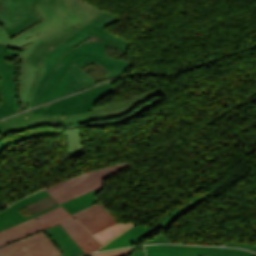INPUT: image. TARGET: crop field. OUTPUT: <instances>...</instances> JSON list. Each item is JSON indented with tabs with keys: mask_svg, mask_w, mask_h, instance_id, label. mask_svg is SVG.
<instances>
[{
	"mask_svg": "<svg viewBox=\"0 0 256 256\" xmlns=\"http://www.w3.org/2000/svg\"><path fill=\"white\" fill-rule=\"evenodd\" d=\"M34 8L43 21L28 29L41 40L26 59L39 67L27 98L28 108L44 71L42 57L104 12L81 0H40Z\"/></svg>",
	"mask_w": 256,
	"mask_h": 256,
	"instance_id": "8a807250",
	"label": "crop field"
},
{
	"mask_svg": "<svg viewBox=\"0 0 256 256\" xmlns=\"http://www.w3.org/2000/svg\"><path fill=\"white\" fill-rule=\"evenodd\" d=\"M163 89L156 88L126 101L95 108L91 112L68 116H37L31 115L32 110L0 121V134H11L39 125L65 126L91 121H103L121 117L130 113L138 105L162 93Z\"/></svg>",
	"mask_w": 256,
	"mask_h": 256,
	"instance_id": "ac0d7876",
	"label": "crop field"
},
{
	"mask_svg": "<svg viewBox=\"0 0 256 256\" xmlns=\"http://www.w3.org/2000/svg\"><path fill=\"white\" fill-rule=\"evenodd\" d=\"M121 19L115 17L114 15L110 14L109 12H104L89 24L84 26L82 29L77 31L59 46H57L54 50L48 53L46 56L43 57L45 71L37 85L35 95L31 104V107L35 105L36 99L38 97L39 91L44 83L48 80V78L52 75L57 63L63 57V55L70 51L72 48L76 47L80 43L84 42L85 40L89 39L92 35L102 39L103 41L107 42L111 46L129 54L126 49L130 42L104 30L103 28L119 21ZM50 57L48 60L47 58ZM30 107V108H31Z\"/></svg>",
	"mask_w": 256,
	"mask_h": 256,
	"instance_id": "34b2d1b8",
	"label": "crop field"
},
{
	"mask_svg": "<svg viewBox=\"0 0 256 256\" xmlns=\"http://www.w3.org/2000/svg\"><path fill=\"white\" fill-rule=\"evenodd\" d=\"M110 46L102 40L91 37L89 40L72 49L59 62L54 74L45 85L58 84L67 69L75 61L81 68L94 63L101 71H107L105 78L121 75L129 66L125 60L110 59L105 54V47Z\"/></svg>",
	"mask_w": 256,
	"mask_h": 256,
	"instance_id": "412701ff",
	"label": "crop field"
},
{
	"mask_svg": "<svg viewBox=\"0 0 256 256\" xmlns=\"http://www.w3.org/2000/svg\"><path fill=\"white\" fill-rule=\"evenodd\" d=\"M103 246L136 223H117L115 217L98 203L72 214Z\"/></svg>",
	"mask_w": 256,
	"mask_h": 256,
	"instance_id": "f4fd0767",
	"label": "crop field"
},
{
	"mask_svg": "<svg viewBox=\"0 0 256 256\" xmlns=\"http://www.w3.org/2000/svg\"><path fill=\"white\" fill-rule=\"evenodd\" d=\"M113 81L97 86L93 89L81 92L76 95L68 96L51 104L35 108L32 114L38 115H67L91 111L94 104L114 91Z\"/></svg>",
	"mask_w": 256,
	"mask_h": 256,
	"instance_id": "dd49c442",
	"label": "crop field"
},
{
	"mask_svg": "<svg viewBox=\"0 0 256 256\" xmlns=\"http://www.w3.org/2000/svg\"><path fill=\"white\" fill-rule=\"evenodd\" d=\"M129 166L126 162L95 170L85 174L67 179L59 184H56L47 190L59 202L66 201L78 195L84 194L96 188L103 186L106 176L115 173Z\"/></svg>",
	"mask_w": 256,
	"mask_h": 256,
	"instance_id": "e52e79f7",
	"label": "crop field"
},
{
	"mask_svg": "<svg viewBox=\"0 0 256 256\" xmlns=\"http://www.w3.org/2000/svg\"><path fill=\"white\" fill-rule=\"evenodd\" d=\"M39 41L40 40L36 38L28 30L10 40L4 27L0 23V43L14 50L20 51L19 53V60H20L19 98H20V103L23 110H25L26 98H27L34 74L37 70V67L25 62L24 60L26 59V57L29 55V53L32 51V49L36 46V44Z\"/></svg>",
	"mask_w": 256,
	"mask_h": 256,
	"instance_id": "d8731c3e",
	"label": "crop field"
},
{
	"mask_svg": "<svg viewBox=\"0 0 256 256\" xmlns=\"http://www.w3.org/2000/svg\"><path fill=\"white\" fill-rule=\"evenodd\" d=\"M39 0H0V22L10 38L42 21L33 5Z\"/></svg>",
	"mask_w": 256,
	"mask_h": 256,
	"instance_id": "5a996713",
	"label": "crop field"
},
{
	"mask_svg": "<svg viewBox=\"0 0 256 256\" xmlns=\"http://www.w3.org/2000/svg\"><path fill=\"white\" fill-rule=\"evenodd\" d=\"M70 219H73V217L63 206H60L56 209L1 231L0 247Z\"/></svg>",
	"mask_w": 256,
	"mask_h": 256,
	"instance_id": "3316defc",
	"label": "crop field"
},
{
	"mask_svg": "<svg viewBox=\"0 0 256 256\" xmlns=\"http://www.w3.org/2000/svg\"><path fill=\"white\" fill-rule=\"evenodd\" d=\"M96 81L74 62L58 85L43 86L36 105L87 88L94 85Z\"/></svg>",
	"mask_w": 256,
	"mask_h": 256,
	"instance_id": "28ad6ade",
	"label": "crop field"
},
{
	"mask_svg": "<svg viewBox=\"0 0 256 256\" xmlns=\"http://www.w3.org/2000/svg\"><path fill=\"white\" fill-rule=\"evenodd\" d=\"M60 250L44 231L0 248V256H59Z\"/></svg>",
	"mask_w": 256,
	"mask_h": 256,
	"instance_id": "d1516ede",
	"label": "crop field"
},
{
	"mask_svg": "<svg viewBox=\"0 0 256 256\" xmlns=\"http://www.w3.org/2000/svg\"><path fill=\"white\" fill-rule=\"evenodd\" d=\"M146 256H256L242 249L177 245L147 246Z\"/></svg>",
	"mask_w": 256,
	"mask_h": 256,
	"instance_id": "22f410ed",
	"label": "crop field"
},
{
	"mask_svg": "<svg viewBox=\"0 0 256 256\" xmlns=\"http://www.w3.org/2000/svg\"><path fill=\"white\" fill-rule=\"evenodd\" d=\"M0 90L2 103L0 105V118L22 111L18 98V83L16 82V70L0 71Z\"/></svg>",
	"mask_w": 256,
	"mask_h": 256,
	"instance_id": "cbeb9de0",
	"label": "crop field"
},
{
	"mask_svg": "<svg viewBox=\"0 0 256 256\" xmlns=\"http://www.w3.org/2000/svg\"><path fill=\"white\" fill-rule=\"evenodd\" d=\"M49 195V193L46 191V190H43L37 194H34L30 197H27L21 201H18L16 202L15 204H13L12 206H10L9 208H7L6 210H4L3 212L0 213V231L5 229V228H8L10 226H13L17 223H20L22 221H25L29 218H32L34 216H37L41 213H44L48 210H51L53 208H56L58 206H60V204L52 207V208H49L45 211H42L36 215H33V216H30V217H27L25 218L23 215H21L17 210L36 201V200H39L45 196Z\"/></svg>",
	"mask_w": 256,
	"mask_h": 256,
	"instance_id": "5142ce71",
	"label": "crop field"
},
{
	"mask_svg": "<svg viewBox=\"0 0 256 256\" xmlns=\"http://www.w3.org/2000/svg\"><path fill=\"white\" fill-rule=\"evenodd\" d=\"M61 226L85 253L103 247L77 220L61 223Z\"/></svg>",
	"mask_w": 256,
	"mask_h": 256,
	"instance_id": "d9b57169",
	"label": "crop field"
},
{
	"mask_svg": "<svg viewBox=\"0 0 256 256\" xmlns=\"http://www.w3.org/2000/svg\"><path fill=\"white\" fill-rule=\"evenodd\" d=\"M45 232L62 251L64 254L62 256H75L84 253L59 224L45 230Z\"/></svg>",
	"mask_w": 256,
	"mask_h": 256,
	"instance_id": "733c2abd",
	"label": "crop field"
},
{
	"mask_svg": "<svg viewBox=\"0 0 256 256\" xmlns=\"http://www.w3.org/2000/svg\"><path fill=\"white\" fill-rule=\"evenodd\" d=\"M152 231L154 230L137 224L99 251L129 246Z\"/></svg>",
	"mask_w": 256,
	"mask_h": 256,
	"instance_id": "4a817a6b",
	"label": "crop field"
},
{
	"mask_svg": "<svg viewBox=\"0 0 256 256\" xmlns=\"http://www.w3.org/2000/svg\"><path fill=\"white\" fill-rule=\"evenodd\" d=\"M103 188L104 187H101L84 195L63 202L61 204L70 212V214H72L96 203L98 200L94 195L97 194Z\"/></svg>",
	"mask_w": 256,
	"mask_h": 256,
	"instance_id": "bc2a9ffb",
	"label": "crop field"
},
{
	"mask_svg": "<svg viewBox=\"0 0 256 256\" xmlns=\"http://www.w3.org/2000/svg\"><path fill=\"white\" fill-rule=\"evenodd\" d=\"M160 100H162V99L157 96L156 98H154V99H152V100L142 104L137 109L132 111V113H130V114H128V115H126V116H124L122 118H117V119H113V120H109V121H104V122L85 123V127L121 124V123H123L125 121H128V120H130L132 118H135V117L139 116L140 114H142L144 111H146L147 109L152 107L154 104H156Z\"/></svg>",
	"mask_w": 256,
	"mask_h": 256,
	"instance_id": "214f88e0",
	"label": "crop field"
},
{
	"mask_svg": "<svg viewBox=\"0 0 256 256\" xmlns=\"http://www.w3.org/2000/svg\"><path fill=\"white\" fill-rule=\"evenodd\" d=\"M69 142V158L85 155V150L81 141L80 129L63 131Z\"/></svg>",
	"mask_w": 256,
	"mask_h": 256,
	"instance_id": "92a150f3",
	"label": "crop field"
},
{
	"mask_svg": "<svg viewBox=\"0 0 256 256\" xmlns=\"http://www.w3.org/2000/svg\"><path fill=\"white\" fill-rule=\"evenodd\" d=\"M209 194H205L201 197H199L198 199L194 200L193 202L185 205L184 207L178 209L177 211L171 213L157 228H162L164 230L168 229L169 226L177 219L179 218L182 214H184L185 212H187L188 210H190L192 207H194L196 204H198L199 202L208 199L209 198Z\"/></svg>",
	"mask_w": 256,
	"mask_h": 256,
	"instance_id": "dafd665d",
	"label": "crop field"
},
{
	"mask_svg": "<svg viewBox=\"0 0 256 256\" xmlns=\"http://www.w3.org/2000/svg\"><path fill=\"white\" fill-rule=\"evenodd\" d=\"M19 52L0 44V70L15 68L14 64H8L6 58L18 55Z\"/></svg>",
	"mask_w": 256,
	"mask_h": 256,
	"instance_id": "00972430",
	"label": "crop field"
},
{
	"mask_svg": "<svg viewBox=\"0 0 256 256\" xmlns=\"http://www.w3.org/2000/svg\"><path fill=\"white\" fill-rule=\"evenodd\" d=\"M48 134H63V133H62V131H41V132H36V133L28 134V135H25V136H19V137H16V138H10V139H7V140L10 143H18L20 141H24V140H28V139H32V138L48 135Z\"/></svg>",
	"mask_w": 256,
	"mask_h": 256,
	"instance_id": "a9b5d70f",
	"label": "crop field"
},
{
	"mask_svg": "<svg viewBox=\"0 0 256 256\" xmlns=\"http://www.w3.org/2000/svg\"><path fill=\"white\" fill-rule=\"evenodd\" d=\"M131 251H132V249H127V250H121V251H115V252L96 254V255H91V256H125V255L129 254Z\"/></svg>",
	"mask_w": 256,
	"mask_h": 256,
	"instance_id": "4177f3b9",
	"label": "crop field"
},
{
	"mask_svg": "<svg viewBox=\"0 0 256 256\" xmlns=\"http://www.w3.org/2000/svg\"><path fill=\"white\" fill-rule=\"evenodd\" d=\"M227 246H232V247H243V248H248L252 250H256V245H248V244H242V243H235Z\"/></svg>",
	"mask_w": 256,
	"mask_h": 256,
	"instance_id": "730fd06b",
	"label": "crop field"
},
{
	"mask_svg": "<svg viewBox=\"0 0 256 256\" xmlns=\"http://www.w3.org/2000/svg\"><path fill=\"white\" fill-rule=\"evenodd\" d=\"M151 242H171L169 241L166 237H164L163 235H160L159 237L153 239V240H150V241H147V242H144V243H151Z\"/></svg>",
	"mask_w": 256,
	"mask_h": 256,
	"instance_id": "eef30255",
	"label": "crop field"
},
{
	"mask_svg": "<svg viewBox=\"0 0 256 256\" xmlns=\"http://www.w3.org/2000/svg\"><path fill=\"white\" fill-rule=\"evenodd\" d=\"M8 145H10V143L6 139L0 141V150H2L3 148H5Z\"/></svg>",
	"mask_w": 256,
	"mask_h": 256,
	"instance_id": "ae1a2a85",
	"label": "crop field"
},
{
	"mask_svg": "<svg viewBox=\"0 0 256 256\" xmlns=\"http://www.w3.org/2000/svg\"><path fill=\"white\" fill-rule=\"evenodd\" d=\"M132 256H145V252L140 251V250H136L135 254H133Z\"/></svg>",
	"mask_w": 256,
	"mask_h": 256,
	"instance_id": "d3111659",
	"label": "crop field"
},
{
	"mask_svg": "<svg viewBox=\"0 0 256 256\" xmlns=\"http://www.w3.org/2000/svg\"><path fill=\"white\" fill-rule=\"evenodd\" d=\"M0 79H1V77H0Z\"/></svg>",
	"mask_w": 256,
	"mask_h": 256,
	"instance_id": "750c4746",
	"label": "crop field"
}]
</instances>
